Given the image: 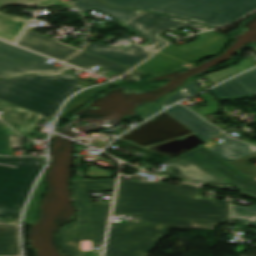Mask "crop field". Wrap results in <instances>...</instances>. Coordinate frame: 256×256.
<instances>
[{"label": "crop field", "instance_id": "23", "mask_svg": "<svg viewBox=\"0 0 256 256\" xmlns=\"http://www.w3.org/2000/svg\"><path fill=\"white\" fill-rule=\"evenodd\" d=\"M231 208L234 219H238L246 225L256 226V204L249 208L231 204Z\"/></svg>", "mask_w": 256, "mask_h": 256}, {"label": "crop field", "instance_id": "9", "mask_svg": "<svg viewBox=\"0 0 256 256\" xmlns=\"http://www.w3.org/2000/svg\"><path fill=\"white\" fill-rule=\"evenodd\" d=\"M0 111H4L1 119L5 121L20 135L29 134L37 121L43 116L41 114L28 111L5 102L0 101ZM17 135L3 122L0 121V154H8V135Z\"/></svg>", "mask_w": 256, "mask_h": 256}, {"label": "crop field", "instance_id": "28", "mask_svg": "<svg viewBox=\"0 0 256 256\" xmlns=\"http://www.w3.org/2000/svg\"><path fill=\"white\" fill-rule=\"evenodd\" d=\"M256 49V48H255Z\"/></svg>", "mask_w": 256, "mask_h": 256}, {"label": "crop field", "instance_id": "3", "mask_svg": "<svg viewBox=\"0 0 256 256\" xmlns=\"http://www.w3.org/2000/svg\"><path fill=\"white\" fill-rule=\"evenodd\" d=\"M111 6L146 9L217 28L253 9L256 0H101Z\"/></svg>", "mask_w": 256, "mask_h": 256}, {"label": "crop field", "instance_id": "26", "mask_svg": "<svg viewBox=\"0 0 256 256\" xmlns=\"http://www.w3.org/2000/svg\"><path fill=\"white\" fill-rule=\"evenodd\" d=\"M58 0H47V1H44L40 4H38V6H45V7H48L52 4H54L55 2H57Z\"/></svg>", "mask_w": 256, "mask_h": 256}, {"label": "crop field", "instance_id": "25", "mask_svg": "<svg viewBox=\"0 0 256 256\" xmlns=\"http://www.w3.org/2000/svg\"><path fill=\"white\" fill-rule=\"evenodd\" d=\"M240 73L239 70H237L234 66L231 68H228L226 70L220 71V72H216V73H211V74H207L206 76L209 78V80L216 84L228 77H231L235 74Z\"/></svg>", "mask_w": 256, "mask_h": 256}, {"label": "crop field", "instance_id": "20", "mask_svg": "<svg viewBox=\"0 0 256 256\" xmlns=\"http://www.w3.org/2000/svg\"><path fill=\"white\" fill-rule=\"evenodd\" d=\"M185 64L175 59L157 53L152 59L143 63L136 70L142 72H163Z\"/></svg>", "mask_w": 256, "mask_h": 256}, {"label": "crop field", "instance_id": "22", "mask_svg": "<svg viewBox=\"0 0 256 256\" xmlns=\"http://www.w3.org/2000/svg\"><path fill=\"white\" fill-rule=\"evenodd\" d=\"M106 88H108V87H101V88L90 89V90H86V91L78 94L77 96H75L72 100H70L67 103V105L65 106L64 111H63L61 117L65 116L66 114H68L69 112L73 111L74 109L82 106L90 98L94 97L95 95H97L98 93H100L101 91H103Z\"/></svg>", "mask_w": 256, "mask_h": 256}, {"label": "crop field", "instance_id": "1", "mask_svg": "<svg viewBox=\"0 0 256 256\" xmlns=\"http://www.w3.org/2000/svg\"><path fill=\"white\" fill-rule=\"evenodd\" d=\"M112 214H137L142 223H111L105 256H146L167 227L214 229L229 220L226 202L204 200L189 184L121 181Z\"/></svg>", "mask_w": 256, "mask_h": 256}, {"label": "crop field", "instance_id": "6", "mask_svg": "<svg viewBox=\"0 0 256 256\" xmlns=\"http://www.w3.org/2000/svg\"><path fill=\"white\" fill-rule=\"evenodd\" d=\"M44 158L0 157V218L19 221L30 186L42 169Z\"/></svg>", "mask_w": 256, "mask_h": 256}, {"label": "crop field", "instance_id": "7", "mask_svg": "<svg viewBox=\"0 0 256 256\" xmlns=\"http://www.w3.org/2000/svg\"><path fill=\"white\" fill-rule=\"evenodd\" d=\"M49 58L39 56L0 41V78L14 77L25 73L58 75L73 67H56L44 62Z\"/></svg>", "mask_w": 256, "mask_h": 256}, {"label": "crop field", "instance_id": "11", "mask_svg": "<svg viewBox=\"0 0 256 256\" xmlns=\"http://www.w3.org/2000/svg\"><path fill=\"white\" fill-rule=\"evenodd\" d=\"M84 51L129 67L134 66L154 53L152 50L138 47L131 43H128L125 47L105 46L99 43L87 44Z\"/></svg>", "mask_w": 256, "mask_h": 256}, {"label": "crop field", "instance_id": "21", "mask_svg": "<svg viewBox=\"0 0 256 256\" xmlns=\"http://www.w3.org/2000/svg\"><path fill=\"white\" fill-rule=\"evenodd\" d=\"M44 192V174L40 179L37 188L30 200L24 216V223H32L37 217L38 201Z\"/></svg>", "mask_w": 256, "mask_h": 256}, {"label": "crop field", "instance_id": "10", "mask_svg": "<svg viewBox=\"0 0 256 256\" xmlns=\"http://www.w3.org/2000/svg\"><path fill=\"white\" fill-rule=\"evenodd\" d=\"M197 35L200 39L195 42L179 47L168 45L159 52L190 63L220 52L226 42L225 36L212 32Z\"/></svg>", "mask_w": 256, "mask_h": 256}, {"label": "crop field", "instance_id": "14", "mask_svg": "<svg viewBox=\"0 0 256 256\" xmlns=\"http://www.w3.org/2000/svg\"><path fill=\"white\" fill-rule=\"evenodd\" d=\"M44 0H0V7L9 5V4H18V5H35ZM18 17L9 16L3 13H0V38L5 39L11 43L15 42L20 35L24 32L27 19Z\"/></svg>", "mask_w": 256, "mask_h": 256}, {"label": "crop field", "instance_id": "15", "mask_svg": "<svg viewBox=\"0 0 256 256\" xmlns=\"http://www.w3.org/2000/svg\"><path fill=\"white\" fill-rule=\"evenodd\" d=\"M165 112L207 140L221 132L180 105Z\"/></svg>", "mask_w": 256, "mask_h": 256}, {"label": "crop field", "instance_id": "12", "mask_svg": "<svg viewBox=\"0 0 256 256\" xmlns=\"http://www.w3.org/2000/svg\"><path fill=\"white\" fill-rule=\"evenodd\" d=\"M34 30L35 27L29 29L17 44L60 61L78 52L74 48L58 43L55 39L35 34Z\"/></svg>", "mask_w": 256, "mask_h": 256}, {"label": "crop field", "instance_id": "19", "mask_svg": "<svg viewBox=\"0 0 256 256\" xmlns=\"http://www.w3.org/2000/svg\"><path fill=\"white\" fill-rule=\"evenodd\" d=\"M17 226L0 225V256H19Z\"/></svg>", "mask_w": 256, "mask_h": 256}, {"label": "crop field", "instance_id": "27", "mask_svg": "<svg viewBox=\"0 0 256 256\" xmlns=\"http://www.w3.org/2000/svg\"><path fill=\"white\" fill-rule=\"evenodd\" d=\"M0 223H4V224H17V222H10V221H5V220H1V219H0Z\"/></svg>", "mask_w": 256, "mask_h": 256}, {"label": "crop field", "instance_id": "8", "mask_svg": "<svg viewBox=\"0 0 256 256\" xmlns=\"http://www.w3.org/2000/svg\"><path fill=\"white\" fill-rule=\"evenodd\" d=\"M121 26L129 28L132 33L151 41L144 46L152 50H157L169 42L168 40L158 36L164 31V29L175 30L179 27H191L199 31L210 29L196 23L164 17L144 11L129 19Z\"/></svg>", "mask_w": 256, "mask_h": 256}, {"label": "crop field", "instance_id": "5", "mask_svg": "<svg viewBox=\"0 0 256 256\" xmlns=\"http://www.w3.org/2000/svg\"><path fill=\"white\" fill-rule=\"evenodd\" d=\"M77 77L66 73L60 77L24 75L0 81V100L54 118L62 100L82 88Z\"/></svg>", "mask_w": 256, "mask_h": 256}, {"label": "crop field", "instance_id": "4", "mask_svg": "<svg viewBox=\"0 0 256 256\" xmlns=\"http://www.w3.org/2000/svg\"><path fill=\"white\" fill-rule=\"evenodd\" d=\"M115 180L73 181L74 201L79 222L59 230L56 242L69 256H79L78 240L93 239L102 244L110 203H91L86 192L113 191Z\"/></svg>", "mask_w": 256, "mask_h": 256}, {"label": "crop field", "instance_id": "18", "mask_svg": "<svg viewBox=\"0 0 256 256\" xmlns=\"http://www.w3.org/2000/svg\"><path fill=\"white\" fill-rule=\"evenodd\" d=\"M82 13L95 9L102 12H105L123 22L129 18L135 16L136 14L142 12L138 10H128V9H117L111 8L107 5H104L96 0H76L72 2Z\"/></svg>", "mask_w": 256, "mask_h": 256}, {"label": "crop field", "instance_id": "13", "mask_svg": "<svg viewBox=\"0 0 256 256\" xmlns=\"http://www.w3.org/2000/svg\"><path fill=\"white\" fill-rule=\"evenodd\" d=\"M217 99H241L256 95V69L213 90Z\"/></svg>", "mask_w": 256, "mask_h": 256}, {"label": "crop field", "instance_id": "2", "mask_svg": "<svg viewBox=\"0 0 256 256\" xmlns=\"http://www.w3.org/2000/svg\"><path fill=\"white\" fill-rule=\"evenodd\" d=\"M171 168L158 175L199 186L239 189L245 196L256 199V180L251 179L216 157L204 146L189 151L169 162Z\"/></svg>", "mask_w": 256, "mask_h": 256}, {"label": "crop field", "instance_id": "24", "mask_svg": "<svg viewBox=\"0 0 256 256\" xmlns=\"http://www.w3.org/2000/svg\"><path fill=\"white\" fill-rule=\"evenodd\" d=\"M188 84H189V83H188ZM199 90H200V89L198 88V86L195 84V82H193V83H191V84L185 86L184 88L180 89L178 92H176V93L173 94L172 96H170V97L165 101V103H164L163 105L168 106V105H170L172 102H174V101H176V100H178V99H180V98H182V97H185V96H189V95H191V94H194V93H196V92L199 91ZM163 105H161V106H163ZM161 106H160V108L157 109L156 111H154V112H152V113H150V114H148V115H146V116H144V117H142V118H140V119L144 120V119H146L147 117H149L150 115H152V114H154V113H156V112H158V111L164 109V108H162Z\"/></svg>", "mask_w": 256, "mask_h": 256}, {"label": "crop field", "instance_id": "16", "mask_svg": "<svg viewBox=\"0 0 256 256\" xmlns=\"http://www.w3.org/2000/svg\"><path fill=\"white\" fill-rule=\"evenodd\" d=\"M66 63L81 67L85 70L92 69L96 65L102 67L100 72L106 74L108 71L122 75L128 68L118 63L103 59L101 57L81 51L66 61Z\"/></svg>", "mask_w": 256, "mask_h": 256}, {"label": "crop field", "instance_id": "17", "mask_svg": "<svg viewBox=\"0 0 256 256\" xmlns=\"http://www.w3.org/2000/svg\"><path fill=\"white\" fill-rule=\"evenodd\" d=\"M218 137L225 142L209 150L227 163L256 152L255 147L233 140L224 133L219 134Z\"/></svg>", "mask_w": 256, "mask_h": 256}]
</instances>
